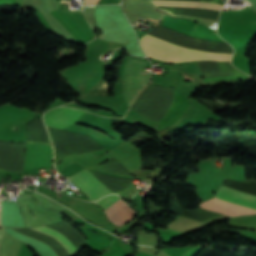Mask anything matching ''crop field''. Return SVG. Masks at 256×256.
Listing matches in <instances>:
<instances>
[{"mask_svg": "<svg viewBox=\"0 0 256 256\" xmlns=\"http://www.w3.org/2000/svg\"><path fill=\"white\" fill-rule=\"evenodd\" d=\"M105 214L113 223L120 225L130 220L135 211L120 199L107 209Z\"/></svg>", "mask_w": 256, "mask_h": 256, "instance_id": "crop-field-5", "label": "crop field"}, {"mask_svg": "<svg viewBox=\"0 0 256 256\" xmlns=\"http://www.w3.org/2000/svg\"><path fill=\"white\" fill-rule=\"evenodd\" d=\"M119 198L121 197L117 195H111V196L104 197L95 203L106 210L113 202L117 201Z\"/></svg>", "mask_w": 256, "mask_h": 256, "instance_id": "crop-field-8", "label": "crop field"}, {"mask_svg": "<svg viewBox=\"0 0 256 256\" xmlns=\"http://www.w3.org/2000/svg\"><path fill=\"white\" fill-rule=\"evenodd\" d=\"M2 235H3V230H0V240H1Z\"/></svg>", "mask_w": 256, "mask_h": 256, "instance_id": "crop-field-10", "label": "crop field"}, {"mask_svg": "<svg viewBox=\"0 0 256 256\" xmlns=\"http://www.w3.org/2000/svg\"><path fill=\"white\" fill-rule=\"evenodd\" d=\"M84 113V111L57 108L47 112L44 120L47 127L63 129L73 123Z\"/></svg>", "mask_w": 256, "mask_h": 256, "instance_id": "crop-field-3", "label": "crop field"}, {"mask_svg": "<svg viewBox=\"0 0 256 256\" xmlns=\"http://www.w3.org/2000/svg\"><path fill=\"white\" fill-rule=\"evenodd\" d=\"M149 19V18H148ZM151 20H153V19H151ZM154 21V20H153Z\"/></svg>", "mask_w": 256, "mask_h": 256, "instance_id": "crop-field-12", "label": "crop field"}, {"mask_svg": "<svg viewBox=\"0 0 256 256\" xmlns=\"http://www.w3.org/2000/svg\"><path fill=\"white\" fill-rule=\"evenodd\" d=\"M69 178L89 197L91 201H96L105 195L111 194L109 190H107L86 170Z\"/></svg>", "mask_w": 256, "mask_h": 256, "instance_id": "crop-field-2", "label": "crop field"}, {"mask_svg": "<svg viewBox=\"0 0 256 256\" xmlns=\"http://www.w3.org/2000/svg\"><path fill=\"white\" fill-rule=\"evenodd\" d=\"M150 1L152 2L153 5H156L157 7H171V8L213 10V11H219L221 8V5L216 3L159 1V0H150Z\"/></svg>", "mask_w": 256, "mask_h": 256, "instance_id": "crop-field-6", "label": "crop field"}, {"mask_svg": "<svg viewBox=\"0 0 256 256\" xmlns=\"http://www.w3.org/2000/svg\"><path fill=\"white\" fill-rule=\"evenodd\" d=\"M144 74H148V73H145V72H144ZM148 75H149V74H148Z\"/></svg>", "mask_w": 256, "mask_h": 256, "instance_id": "crop-field-11", "label": "crop field"}, {"mask_svg": "<svg viewBox=\"0 0 256 256\" xmlns=\"http://www.w3.org/2000/svg\"><path fill=\"white\" fill-rule=\"evenodd\" d=\"M32 229H34L42 234L51 236L53 239H55L59 244H61L66 249L69 256L76 254L77 250L75 249V247L71 244V242L68 239H66L61 234H59L45 226L40 227V228H32Z\"/></svg>", "mask_w": 256, "mask_h": 256, "instance_id": "crop-field-7", "label": "crop field"}, {"mask_svg": "<svg viewBox=\"0 0 256 256\" xmlns=\"http://www.w3.org/2000/svg\"><path fill=\"white\" fill-rule=\"evenodd\" d=\"M98 0H85V3H97Z\"/></svg>", "mask_w": 256, "mask_h": 256, "instance_id": "crop-field-9", "label": "crop field"}, {"mask_svg": "<svg viewBox=\"0 0 256 256\" xmlns=\"http://www.w3.org/2000/svg\"><path fill=\"white\" fill-rule=\"evenodd\" d=\"M140 40L148 57L167 62L230 61L232 54L196 51L155 39L149 35Z\"/></svg>", "mask_w": 256, "mask_h": 256, "instance_id": "crop-field-1", "label": "crop field"}, {"mask_svg": "<svg viewBox=\"0 0 256 256\" xmlns=\"http://www.w3.org/2000/svg\"><path fill=\"white\" fill-rule=\"evenodd\" d=\"M215 196L219 199L256 209V195L221 186Z\"/></svg>", "mask_w": 256, "mask_h": 256, "instance_id": "crop-field-4", "label": "crop field"}]
</instances>
